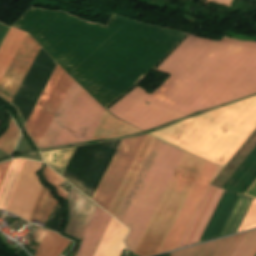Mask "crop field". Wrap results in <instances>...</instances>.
<instances>
[{
  "mask_svg": "<svg viewBox=\"0 0 256 256\" xmlns=\"http://www.w3.org/2000/svg\"><path fill=\"white\" fill-rule=\"evenodd\" d=\"M13 27L29 32L105 108L156 67L186 36L116 16L104 26L63 12L35 8Z\"/></svg>",
  "mask_w": 256,
  "mask_h": 256,
  "instance_id": "obj_1",
  "label": "crop field"
},
{
  "mask_svg": "<svg viewBox=\"0 0 256 256\" xmlns=\"http://www.w3.org/2000/svg\"><path fill=\"white\" fill-rule=\"evenodd\" d=\"M156 70L171 75L159 89L137 86L107 110L145 131L254 94L256 43L188 35Z\"/></svg>",
  "mask_w": 256,
  "mask_h": 256,
  "instance_id": "obj_2",
  "label": "crop field"
},
{
  "mask_svg": "<svg viewBox=\"0 0 256 256\" xmlns=\"http://www.w3.org/2000/svg\"><path fill=\"white\" fill-rule=\"evenodd\" d=\"M255 128L252 96L149 134L224 166Z\"/></svg>",
  "mask_w": 256,
  "mask_h": 256,
  "instance_id": "obj_3",
  "label": "crop field"
},
{
  "mask_svg": "<svg viewBox=\"0 0 256 256\" xmlns=\"http://www.w3.org/2000/svg\"><path fill=\"white\" fill-rule=\"evenodd\" d=\"M203 163L204 160L184 153L134 253L140 256L158 254Z\"/></svg>",
  "mask_w": 256,
  "mask_h": 256,
  "instance_id": "obj_4",
  "label": "crop field"
},
{
  "mask_svg": "<svg viewBox=\"0 0 256 256\" xmlns=\"http://www.w3.org/2000/svg\"><path fill=\"white\" fill-rule=\"evenodd\" d=\"M182 154L183 151L162 143L122 222L131 229L124 241L129 250H134Z\"/></svg>",
  "mask_w": 256,
  "mask_h": 256,
  "instance_id": "obj_5",
  "label": "crop field"
},
{
  "mask_svg": "<svg viewBox=\"0 0 256 256\" xmlns=\"http://www.w3.org/2000/svg\"><path fill=\"white\" fill-rule=\"evenodd\" d=\"M222 192H223V189H219L209 185L178 248L197 243ZM237 197H238V194L224 190L198 242H202V241H206V240H210L218 237Z\"/></svg>",
  "mask_w": 256,
  "mask_h": 256,
  "instance_id": "obj_6",
  "label": "crop field"
},
{
  "mask_svg": "<svg viewBox=\"0 0 256 256\" xmlns=\"http://www.w3.org/2000/svg\"><path fill=\"white\" fill-rule=\"evenodd\" d=\"M68 75L58 64L26 124L37 146L73 80Z\"/></svg>",
  "mask_w": 256,
  "mask_h": 256,
  "instance_id": "obj_7",
  "label": "crop field"
},
{
  "mask_svg": "<svg viewBox=\"0 0 256 256\" xmlns=\"http://www.w3.org/2000/svg\"><path fill=\"white\" fill-rule=\"evenodd\" d=\"M144 136L121 141L94 197L96 203L108 211Z\"/></svg>",
  "mask_w": 256,
  "mask_h": 256,
  "instance_id": "obj_8",
  "label": "crop field"
},
{
  "mask_svg": "<svg viewBox=\"0 0 256 256\" xmlns=\"http://www.w3.org/2000/svg\"><path fill=\"white\" fill-rule=\"evenodd\" d=\"M104 110L83 89L54 146L89 140Z\"/></svg>",
  "mask_w": 256,
  "mask_h": 256,
  "instance_id": "obj_9",
  "label": "crop field"
},
{
  "mask_svg": "<svg viewBox=\"0 0 256 256\" xmlns=\"http://www.w3.org/2000/svg\"><path fill=\"white\" fill-rule=\"evenodd\" d=\"M217 166L205 161L159 253L176 249L217 169Z\"/></svg>",
  "mask_w": 256,
  "mask_h": 256,
  "instance_id": "obj_10",
  "label": "crop field"
},
{
  "mask_svg": "<svg viewBox=\"0 0 256 256\" xmlns=\"http://www.w3.org/2000/svg\"><path fill=\"white\" fill-rule=\"evenodd\" d=\"M41 162H35L25 159L12 197L10 199L7 211L13 212L25 220H29L36 196L42 186L38 181L37 172Z\"/></svg>",
  "mask_w": 256,
  "mask_h": 256,
  "instance_id": "obj_11",
  "label": "crop field"
},
{
  "mask_svg": "<svg viewBox=\"0 0 256 256\" xmlns=\"http://www.w3.org/2000/svg\"><path fill=\"white\" fill-rule=\"evenodd\" d=\"M37 42L26 33L12 62L0 82V96L11 103L38 49Z\"/></svg>",
  "mask_w": 256,
  "mask_h": 256,
  "instance_id": "obj_12",
  "label": "crop field"
},
{
  "mask_svg": "<svg viewBox=\"0 0 256 256\" xmlns=\"http://www.w3.org/2000/svg\"><path fill=\"white\" fill-rule=\"evenodd\" d=\"M68 206L69 223L65 233L81 240L97 205L71 187L68 194Z\"/></svg>",
  "mask_w": 256,
  "mask_h": 256,
  "instance_id": "obj_13",
  "label": "crop field"
},
{
  "mask_svg": "<svg viewBox=\"0 0 256 256\" xmlns=\"http://www.w3.org/2000/svg\"><path fill=\"white\" fill-rule=\"evenodd\" d=\"M82 89L83 88L73 80L68 92L66 93L61 105L59 106L53 120L51 121L39 144V148L53 146Z\"/></svg>",
  "mask_w": 256,
  "mask_h": 256,
  "instance_id": "obj_14",
  "label": "crop field"
},
{
  "mask_svg": "<svg viewBox=\"0 0 256 256\" xmlns=\"http://www.w3.org/2000/svg\"><path fill=\"white\" fill-rule=\"evenodd\" d=\"M246 234L175 251L170 256H231Z\"/></svg>",
  "mask_w": 256,
  "mask_h": 256,
  "instance_id": "obj_15",
  "label": "crop field"
},
{
  "mask_svg": "<svg viewBox=\"0 0 256 256\" xmlns=\"http://www.w3.org/2000/svg\"><path fill=\"white\" fill-rule=\"evenodd\" d=\"M111 216L97 207L75 256H93Z\"/></svg>",
  "mask_w": 256,
  "mask_h": 256,
  "instance_id": "obj_16",
  "label": "crop field"
},
{
  "mask_svg": "<svg viewBox=\"0 0 256 256\" xmlns=\"http://www.w3.org/2000/svg\"><path fill=\"white\" fill-rule=\"evenodd\" d=\"M124 227L111 218L94 256H119L125 248L122 241L128 231Z\"/></svg>",
  "mask_w": 256,
  "mask_h": 256,
  "instance_id": "obj_17",
  "label": "crop field"
},
{
  "mask_svg": "<svg viewBox=\"0 0 256 256\" xmlns=\"http://www.w3.org/2000/svg\"><path fill=\"white\" fill-rule=\"evenodd\" d=\"M256 179V147L233 173L223 188L244 194Z\"/></svg>",
  "mask_w": 256,
  "mask_h": 256,
  "instance_id": "obj_18",
  "label": "crop field"
},
{
  "mask_svg": "<svg viewBox=\"0 0 256 256\" xmlns=\"http://www.w3.org/2000/svg\"><path fill=\"white\" fill-rule=\"evenodd\" d=\"M155 138L149 136V135H146L110 209H109V213L112 214L114 217L127 193V191L129 190L140 166L142 165L153 141H154Z\"/></svg>",
  "mask_w": 256,
  "mask_h": 256,
  "instance_id": "obj_19",
  "label": "crop field"
},
{
  "mask_svg": "<svg viewBox=\"0 0 256 256\" xmlns=\"http://www.w3.org/2000/svg\"><path fill=\"white\" fill-rule=\"evenodd\" d=\"M140 130L122 122L105 110L90 140L122 137Z\"/></svg>",
  "mask_w": 256,
  "mask_h": 256,
  "instance_id": "obj_20",
  "label": "crop field"
},
{
  "mask_svg": "<svg viewBox=\"0 0 256 256\" xmlns=\"http://www.w3.org/2000/svg\"><path fill=\"white\" fill-rule=\"evenodd\" d=\"M161 143L162 142L155 139V141H154V143H153V145H152V147H151L143 165L141 166V168H140V170H139V172H138L130 190L128 191V193H127V195H126V197H125V199H124V201H123V203H122V205H121V207H120V209H119V211H118V213L115 217L119 221L122 222V220H123L128 208H129V206H130V204H131V202H132V200H133L141 182L143 181V179H144V177H145V175H146V173H147V171H148V169H149V167H150V165H151V163H152V161H153V159H154V157H155V155H156V153H157V151H158V149L161 145Z\"/></svg>",
  "mask_w": 256,
  "mask_h": 256,
  "instance_id": "obj_21",
  "label": "crop field"
},
{
  "mask_svg": "<svg viewBox=\"0 0 256 256\" xmlns=\"http://www.w3.org/2000/svg\"><path fill=\"white\" fill-rule=\"evenodd\" d=\"M24 35H25V32L19 29L10 27L0 47V80L3 77L9 63L11 62Z\"/></svg>",
  "mask_w": 256,
  "mask_h": 256,
  "instance_id": "obj_22",
  "label": "crop field"
},
{
  "mask_svg": "<svg viewBox=\"0 0 256 256\" xmlns=\"http://www.w3.org/2000/svg\"><path fill=\"white\" fill-rule=\"evenodd\" d=\"M71 241L60 235L46 230L34 256H59Z\"/></svg>",
  "mask_w": 256,
  "mask_h": 256,
  "instance_id": "obj_23",
  "label": "crop field"
},
{
  "mask_svg": "<svg viewBox=\"0 0 256 256\" xmlns=\"http://www.w3.org/2000/svg\"><path fill=\"white\" fill-rule=\"evenodd\" d=\"M57 203L56 199L50 194L49 189L42 187L29 222L32 223L36 219L46 223Z\"/></svg>",
  "mask_w": 256,
  "mask_h": 256,
  "instance_id": "obj_24",
  "label": "crop field"
},
{
  "mask_svg": "<svg viewBox=\"0 0 256 256\" xmlns=\"http://www.w3.org/2000/svg\"><path fill=\"white\" fill-rule=\"evenodd\" d=\"M24 159L18 158L10 162L4 183L0 191V208L6 209L14 184Z\"/></svg>",
  "mask_w": 256,
  "mask_h": 256,
  "instance_id": "obj_25",
  "label": "crop field"
},
{
  "mask_svg": "<svg viewBox=\"0 0 256 256\" xmlns=\"http://www.w3.org/2000/svg\"><path fill=\"white\" fill-rule=\"evenodd\" d=\"M20 136V131L10 118L8 128L6 131L0 136V150L10 154Z\"/></svg>",
  "mask_w": 256,
  "mask_h": 256,
  "instance_id": "obj_26",
  "label": "crop field"
},
{
  "mask_svg": "<svg viewBox=\"0 0 256 256\" xmlns=\"http://www.w3.org/2000/svg\"><path fill=\"white\" fill-rule=\"evenodd\" d=\"M256 245V230L248 232L232 256H248Z\"/></svg>",
  "mask_w": 256,
  "mask_h": 256,
  "instance_id": "obj_27",
  "label": "crop field"
},
{
  "mask_svg": "<svg viewBox=\"0 0 256 256\" xmlns=\"http://www.w3.org/2000/svg\"><path fill=\"white\" fill-rule=\"evenodd\" d=\"M43 174L46 178V181L56 187L58 195L67 199V192L59 186L65 180L62 179L59 175H57L55 172H53L47 166L44 168Z\"/></svg>",
  "mask_w": 256,
  "mask_h": 256,
  "instance_id": "obj_28",
  "label": "crop field"
},
{
  "mask_svg": "<svg viewBox=\"0 0 256 256\" xmlns=\"http://www.w3.org/2000/svg\"><path fill=\"white\" fill-rule=\"evenodd\" d=\"M256 227V200L254 199L239 230H245Z\"/></svg>",
  "mask_w": 256,
  "mask_h": 256,
  "instance_id": "obj_29",
  "label": "crop field"
},
{
  "mask_svg": "<svg viewBox=\"0 0 256 256\" xmlns=\"http://www.w3.org/2000/svg\"><path fill=\"white\" fill-rule=\"evenodd\" d=\"M9 161L0 163V187L4 178V175L6 173L7 167H8Z\"/></svg>",
  "mask_w": 256,
  "mask_h": 256,
  "instance_id": "obj_30",
  "label": "crop field"
},
{
  "mask_svg": "<svg viewBox=\"0 0 256 256\" xmlns=\"http://www.w3.org/2000/svg\"><path fill=\"white\" fill-rule=\"evenodd\" d=\"M8 29H9V26H6V25L0 23V45H1Z\"/></svg>",
  "mask_w": 256,
  "mask_h": 256,
  "instance_id": "obj_31",
  "label": "crop field"
},
{
  "mask_svg": "<svg viewBox=\"0 0 256 256\" xmlns=\"http://www.w3.org/2000/svg\"><path fill=\"white\" fill-rule=\"evenodd\" d=\"M245 195L255 197L256 198V180L254 183L250 186V188L246 191Z\"/></svg>",
  "mask_w": 256,
  "mask_h": 256,
  "instance_id": "obj_32",
  "label": "crop field"
},
{
  "mask_svg": "<svg viewBox=\"0 0 256 256\" xmlns=\"http://www.w3.org/2000/svg\"><path fill=\"white\" fill-rule=\"evenodd\" d=\"M43 232H44V229L40 228L39 232L37 233V235H36V237L34 239V242H37V243L39 242Z\"/></svg>",
  "mask_w": 256,
  "mask_h": 256,
  "instance_id": "obj_33",
  "label": "crop field"
},
{
  "mask_svg": "<svg viewBox=\"0 0 256 256\" xmlns=\"http://www.w3.org/2000/svg\"><path fill=\"white\" fill-rule=\"evenodd\" d=\"M255 254H256V246H255V248L253 249V251L250 253L249 256H254Z\"/></svg>",
  "mask_w": 256,
  "mask_h": 256,
  "instance_id": "obj_34",
  "label": "crop field"
},
{
  "mask_svg": "<svg viewBox=\"0 0 256 256\" xmlns=\"http://www.w3.org/2000/svg\"><path fill=\"white\" fill-rule=\"evenodd\" d=\"M256 256V255H255Z\"/></svg>",
  "mask_w": 256,
  "mask_h": 256,
  "instance_id": "obj_35",
  "label": "crop field"
}]
</instances>
